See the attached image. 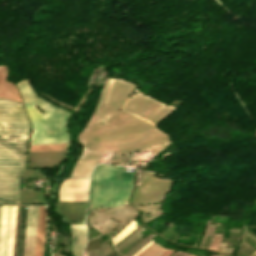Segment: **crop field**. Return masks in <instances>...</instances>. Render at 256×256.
Returning a JSON list of instances; mask_svg holds the SVG:
<instances>
[{
    "label": "crop field",
    "instance_id": "26",
    "mask_svg": "<svg viewBox=\"0 0 256 256\" xmlns=\"http://www.w3.org/2000/svg\"><path fill=\"white\" fill-rule=\"evenodd\" d=\"M210 243V242H209ZM208 248V247H207Z\"/></svg>",
    "mask_w": 256,
    "mask_h": 256
},
{
    "label": "crop field",
    "instance_id": "27",
    "mask_svg": "<svg viewBox=\"0 0 256 256\" xmlns=\"http://www.w3.org/2000/svg\"><path fill=\"white\" fill-rule=\"evenodd\" d=\"M220 256H222V255H220Z\"/></svg>",
    "mask_w": 256,
    "mask_h": 256
},
{
    "label": "crop field",
    "instance_id": "9",
    "mask_svg": "<svg viewBox=\"0 0 256 256\" xmlns=\"http://www.w3.org/2000/svg\"><path fill=\"white\" fill-rule=\"evenodd\" d=\"M67 146H68V144L36 145V146H30L29 151L66 150Z\"/></svg>",
    "mask_w": 256,
    "mask_h": 256
},
{
    "label": "crop field",
    "instance_id": "21",
    "mask_svg": "<svg viewBox=\"0 0 256 256\" xmlns=\"http://www.w3.org/2000/svg\"><path fill=\"white\" fill-rule=\"evenodd\" d=\"M143 230H144V229H143ZM143 230H142V231H143ZM142 231H140V232H142ZM140 232H139V233H140ZM139 233H138V234H139ZM138 234H136L135 236H137ZM135 236H134V237H135ZM134 237H133V238H134ZM131 239H132V238H131ZM131 239H130V240H131ZM130 240H129V241H130ZM127 242H128V241H127ZM127 242H126V243H127ZM124 245H125V243H124L122 246H120L118 249H116V250L118 251V250H119L120 248H122Z\"/></svg>",
    "mask_w": 256,
    "mask_h": 256
},
{
    "label": "crop field",
    "instance_id": "5",
    "mask_svg": "<svg viewBox=\"0 0 256 256\" xmlns=\"http://www.w3.org/2000/svg\"><path fill=\"white\" fill-rule=\"evenodd\" d=\"M55 210L60 214L63 223L85 224L84 202H57Z\"/></svg>",
    "mask_w": 256,
    "mask_h": 256
},
{
    "label": "crop field",
    "instance_id": "3",
    "mask_svg": "<svg viewBox=\"0 0 256 256\" xmlns=\"http://www.w3.org/2000/svg\"><path fill=\"white\" fill-rule=\"evenodd\" d=\"M17 206L2 205L0 220V256H12Z\"/></svg>",
    "mask_w": 256,
    "mask_h": 256
},
{
    "label": "crop field",
    "instance_id": "2",
    "mask_svg": "<svg viewBox=\"0 0 256 256\" xmlns=\"http://www.w3.org/2000/svg\"><path fill=\"white\" fill-rule=\"evenodd\" d=\"M125 167L96 166L90 183V209L117 207L127 204L134 173H125Z\"/></svg>",
    "mask_w": 256,
    "mask_h": 256
},
{
    "label": "crop field",
    "instance_id": "1",
    "mask_svg": "<svg viewBox=\"0 0 256 256\" xmlns=\"http://www.w3.org/2000/svg\"><path fill=\"white\" fill-rule=\"evenodd\" d=\"M16 86L33 124L30 145L67 143L65 123L70 113L37 97L27 79L18 81ZM34 104L44 113H40Z\"/></svg>",
    "mask_w": 256,
    "mask_h": 256
},
{
    "label": "crop field",
    "instance_id": "18",
    "mask_svg": "<svg viewBox=\"0 0 256 256\" xmlns=\"http://www.w3.org/2000/svg\"><path fill=\"white\" fill-rule=\"evenodd\" d=\"M140 229H141V228H140ZM142 229H143V228H142ZM138 230H139V229H138ZM138 230H137V231H138ZM137 231H136V232H137ZM139 231H140V230H139ZM136 232H134L133 234H135ZM133 234H132V235H133ZM132 235H130L128 238H130ZM128 238H126V239H125L124 241H122L118 246H116L115 249H116L117 247H119L123 242H125Z\"/></svg>",
    "mask_w": 256,
    "mask_h": 256
},
{
    "label": "crop field",
    "instance_id": "10",
    "mask_svg": "<svg viewBox=\"0 0 256 256\" xmlns=\"http://www.w3.org/2000/svg\"><path fill=\"white\" fill-rule=\"evenodd\" d=\"M164 251H165V249L161 248V246H159L153 242L144 251H142L138 256H160Z\"/></svg>",
    "mask_w": 256,
    "mask_h": 256
},
{
    "label": "crop field",
    "instance_id": "24",
    "mask_svg": "<svg viewBox=\"0 0 256 256\" xmlns=\"http://www.w3.org/2000/svg\"><path fill=\"white\" fill-rule=\"evenodd\" d=\"M225 244H226V243H220V245H223V246H225Z\"/></svg>",
    "mask_w": 256,
    "mask_h": 256
},
{
    "label": "crop field",
    "instance_id": "8",
    "mask_svg": "<svg viewBox=\"0 0 256 256\" xmlns=\"http://www.w3.org/2000/svg\"><path fill=\"white\" fill-rule=\"evenodd\" d=\"M46 214L45 208L39 206L35 245V256H43Z\"/></svg>",
    "mask_w": 256,
    "mask_h": 256
},
{
    "label": "crop field",
    "instance_id": "19",
    "mask_svg": "<svg viewBox=\"0 0 256 256\" xmlns=\"http://www.w3.org/2000/svg\"><path fill=\"white\" fill-rule=\"evenodd\" d=\"M173 249H174V248H173ZM170 252H171V251L167 249L161 256H168V255L170 254Z\"/></svg>",
    "mask_w": 256,
    "mask_h": 256
},
{
    "label": "crop field",
    "instance_id": "20",
    "mask_svg": "<svg viewBox=\"0 0 256 256\" xmlns=\"http://www.w3.org/2000/svg\"><path fill=\"white\" fill-rule=\"evenodd\" d=\"M140 226H141V225H140ZM140 226H138L137 228H139ZM137 228H136V229H137ZM136 229H135V230H136ZM135 230H133L132 232H134ZM132 232H131V233H132ZM131 233H129L127 236H129ZM127 236H126V237H127ZM126 237H124L122 240H124ZM122 240H121V241H122ZM121 241H119L117 244H115L114 247H115L116 245H118Z\"/></svg>",
    "mask_w": 256,
    "mask_h": 256
},
{
    "label": "crop field",
    "instance_id": "15",
    "mask_svg": "<svg viewBox=\"0 0 256 256\" xmlns=\"http://www.w3.org/2000/svg\"><path fill=\"white\" fill-rule=\"evenodd\" d=\"M140 236H142L141 234L138 235L137 237H135L133 240H131L125 247H123L121 250L118 251V253H121L122 251H124L129 245H131L136 239H138Z\"/></svg>",
    "mask_w": 256,
    "mask_h": 256
},
{
    "label": "crop field",
    "instance_id": "22",
    "mask_svg": "<svg viewBox=\"0 0 256 256\" xmlns=\"http://www.w3.org/2000/svg\"><path fill=\"white\" fill-rule=\"evenodd\" d=\"M229 232L240 233V230H229Z\"/></svg>",
    "mask_w": 256,
    "mask_h": 256
},
{
    "label": "crop field",
    "instance_id": "28",
    "mask_svg": "<svg viewBox=\"0 0 256 256\" xmlns=\"http://www.w3.org/2000/svg\"><path fill=\"white\" fill-rule=\"evenodd\" d=\"M191 256H193V255H191Z\"/></svg>",
    "mask_w": 256,
    "mask_h": 256
},
{
    "label": "crop field",
    "instance_id": "17",
    "mask_svg": "<svg viewBox=\"0 0 256 256\" xmlns=\"http://www.w3.org/2000/svg\"><path fill=\"white\" fill-rule=\"evenodd\" d=\"M244 235H246L247 237L251 238L253 241L256 242V238L251 236L250 234H248L247 232H244Z\"/></svg>",
    "mask_w": 256,
    "mask_h": 256
},
{
    "label": "crop field",
    "instance_id": "4",
    "mask_svg": "<svg viewBox=\"0 0 256 256\" xmlns=\"http://www.w3.org/2000/svg\"><path fill=\"white\" fill-rule=\"evenodd\" d=\"M89 180L66 179L59 189V201H86Z\"/></svg>",
    "mask_w": 256,
    "mask_h": 256
},
{
    "label": "crop field",
    "instance_id": "13",
    "mask_svg": "<svg viewBox=\"0 0 256 256\" xmlns=\"http://www.w3.org/2000/svg\"><path fill=\"white\" fill-rule=\"evenodd\" d=\"M209 225H210V221H208L207 229H206V233H205V236H204V238H203V241H202V244H201V246H200V247H202V246H203V244H204V241H205V239H206V235H207V231H208V227H209ZM215 227H216V226L210 225V227H209V231H208V235H207V236L212 237Z\"/></svg>",
    "mask_w": 256,
    "mask_h": 256
},
{
    "label": "crop field",
    "instance_id": "11",
    "mask_svg": "<svg viewBox=\"0 0 256 256\" xmlns=\"http://www.w3.org/2000/svg\"><path fill=\"white\" fill-rule=\"evenodd\" d=\"M152 235H153L152 233L149 234L147 237H145L142 241H140L135 247H133V248H132L128 253H126L124 256H127L129 253H131L135 248H137L141 243H143L146 239H148V238H149L150 236H152ZM154 236H155V235H154ZM154 236H153V237H154ZM150 238H151V237H150ZM150 238H149V239H150ZM149 239H148V240H149ZM150 240H151V239H150ZM150 240H149V241H150ZM146 241H147V240H146ZM146 241H145V242H146ZM149 241H147L146 243H148ZM145 242H144V243H145ZM144 243H143V244H144ZM146 243H145V244H146ZM151 243H152V242L150 241L148 244H146V245L144 244L145 246L142 244L144 247L140 245L141 247H140V246H139V247H140V248L143 247V248H142L140 251H138V250L140 249V248L138 247L139 249L136 250V251L134 250V251H135L134 253H136L137 251H138V252H137L135 255H133L134 253H132L130 256H132V255H133V256H136L137 254H139L143 249H145V248H146L149 244H151Z\"/></svg>",
    "mask_w": 256,
    "mask_h": 256
},
{
    "label": "crop field",
    "instance_id": "16",
    "mask_svg": "<svg viewBox=\"0 0 256 256\" xmlns=\"http://www.w3.org/2000/svg\"><path fill=\"white\" fill-rule=\"evenodd\" d=\"M233 251V249H229V248H218L217 252H221V253H231Z\"/></svg>",
    "mask_w": 256,
    "mask_h": 256
},
{
    "label": "crop field",
    "instance_id": "7",
    "mask_svg": "<svg viewBox=\"0 0 256 256\" xmlns=\"http://www.w3.org/2000/svg\"><path fill=\"white\" fill-rule=\"evenodd\" d=\"M72 240L70 251L73 256H82V251L86 239L85 226L70 224Z\"/></svg>",
    "mask_w": 256,
    "mask_h": 256
},
{
    "label": "crop field",
    "instance_id": "14",
    "mask_svg": "<svg viewBox=\"0 0 256 256\" xmlns=\"http://www.w3.org/2000/svg\"><path fill=\"white\" fill-rule=\"evenodd\" d=\"M239 251L243 252L246 255L252 252V250L244 244H241Z\"/></svg>",
    "mask_w": 256,
    "mask_h": 256
},
{
    "label": "crop field",
    "instance_id": "6",
    "mask_svg": "<svg viewBox=\"0 0 256 256\" xmlns=\"http://www.w3.org/2000/svg\"><path fill=\"white\" fill-rule=\"evenodd\" d=\"M38 206H28L24 256H34Z\"/></svg>",
    "mask_w": 256,
    "mask_h": 256
},
{
    "label": "crop field",
    "instance_id": "25",
    "mask_svg": "<svg viewBox=\"0 0 256 256\" xmlns=\"http://www.w3.org/2000/svg\"><path fill=\"white\" fill-rule=\"evenodd\" d=\"M237 256H241V255L237 253Z\"/></svg>",
    "mask_w": 256,
    "mask_h": 256
},
{
    "label": "crop field",
    "instance_id": "12",
    "mask_svg": "<svg viewBox=\"0 0 256 256\" xmlns=\"http://www.w3.org/2000/svg\"><path fill=\"white\" fill-rule=\"evenodd\" d=\"M133 223V221L130 223V224H128L123 230H121L116 236H114L113 238H112V240H114L117 236H119L127 227H129L131 224ZM135 225H134V223L129 227V228H127L119 237H117L114 241H113V243L115 242V241H117L121 236H123L126 232H128L132 227H134ZM136 228V226L134 227V228H132L129 232H131L133 229H135ZM128 232V233H129ZM128 233H126L124 236H126ZM123 236V237H124ZM123 237H121L119 240H121ZM118 240V241H119ZM117 241V242H118ZM117 242H115V243H117ZM114 243V244H115Z\"/></svg>",
    "mask_w": 256,
    "mask_h": 256
},
{
    "label": "crop field",
    "instance_id": "23",
    "mask_svg": "<svg viewBox=\"0 0 256 256\" xmlns=\"http://www.w3.org/2000/svg\"><path fill=\"white\" fill-rule=\"evenodd\" d=\"M251 256H256V250H255V252Z\"/></svg>",
    "mask_w": 256,
    "mask_h": 256
}]
</instances>
